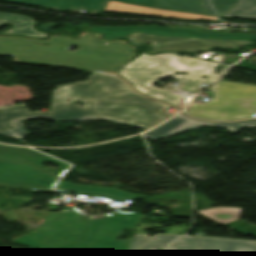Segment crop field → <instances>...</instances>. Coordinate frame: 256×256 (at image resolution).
<instances>
[{"instance_id":"ac0d7876","label":"crop field","mask_w":256,"mask_h":256,"mask_svg":"<svg viewBox=\"0 0 256 256\" xmlns=\"http://www.w3.org/2000/svg\"><path fill=\"white\" fill-rule=\"evenodd\" d=\"M141 212H112L85 218L75 208L49 212L33 232L13 240L39 249L27 256H63L76 251L126 256L131 240H116L125 228H136Z\"/></svg>"},{"instance_id":"f4fd0767","label":"crop field","mask_w":256,"mask_h":256,"mask_svg":"<svg viewBox=\"0 0 256 256\" xmlns=\"http://www.w3.org/2000/svg\"><path fill=\"white\" fill-rule=\"evenodd\" d=\"M208 90L214 100L205 104L192 103L187 113L209 120H238L256 113V86L219 81Z\"/></svg>"},{"instance_id":"412701ff","label":"crop field","mask_w":256,"mask_h":256,"mask_svg":"<svg viewBox=\"0 0 256 256\" xmlns=\"http://www.w3.org/2000/svg\"><path fill=\"white\" fill-rule=\"evenodd\" d=\"M178 53L158 54L150 56L143 54L119 71V75L131 82L138 91L156 97L160 100L177 106L181 96L172 94L175 89L160 90L152 84L166 76L174 77L184 85L180 90L194 93L201 84H210L214 79L223 74L229 66L219 73H214L215 65H222L188 56H178ZM175 71H187V75H173ZM208 76L202 79L201 76ZM148 86L147 90L143 88Z\"/></svg>"},{"instance_id":"34b2d1b8","label":"crop field","mask_w":256,"mask_h":256,"mask_svg":"<svg viewBox=\"0 0 256 256\" xmlns=\"http://www.w3.org/2000/svg\"><path fill=\"white\" fill-rule=\"evenodd\" d=\"M73 45L80 49L68 51ZM0 55L13 56L17 63L116 73L133 56V47L86 33L76 40L52 36L48 42L0 36Z\"/></svg>"},{"instance_id":"22f410ed","label":"crop field","mask_w":256,"mask_h":256,"mask_svg":"<svg viewBox=\"0 0 256 256\" xmlns=\"http://www.w3.org/2000/svg\"><path fill=\"white\" fill-rule=\"evenodd\" d=\"M0 160L2 161H10V162H19V163H29L32 164L56 177H60L64 171L70 167L65 163H62L58 160L50 158L46 155L38 153L29 148H20V147H12L6 145H0ZM46 160H51L55 163L62 165L57 172L49 170L42 166V162Z\"/></svg>"},{"instance_id":"5a996713","label":"crop field","mask_w":256,"mask_h":256,"mask_svg":"<svg viewBox=\"0 0 256 256\" xmlns=\"http://www.w3.org/2000/svg\"><path fill=\"white\" fill-rule=\"evenodd\" d=\"M56 181L33 166L0 162V185L51 191Z\"/></svg>"},{"instance_id":"3316defc","label":"crop field","mask_w":256,"mask_h":256,"mask_svg":"<svg viewBox=\"0 0 256 256\" xmlns=\"http://www.w3.org/2000/svg\"><path fill=\"white\" fill-rule=\"evenodd\" d=\"M201 125L214 126L227 128L231 132H237L243 127H256V120L238 122V123H214L200 120H193L180 114L164 124L158 126L154 130L144 134V137L149 138L153 141L162 138L165 139L169 136L181 134L188 130L194 129Z\"/></svg>"},{"instance_id":"d1516ede","label":"crop field","mask_w":256,"mask_h":256,"mask_svg":"<svg viewBox=\"0 0 256 256\" xmlns=\"http://www.w3.org/2000/svg\"><path fill=\"white\" fill-rule=\"evenodd\" d=\"M65 10L103 11L108 0H4ZM159 8L151 0H115Z\"/></svg>"},{"instance_id":"92a150f3","label":"crop field","mask_w":256,"mask_h":256,"mask_svg":"<svg viewBox=\"0 0 256 256\" xmlns=\"http://www.w3.org/2000/svg\"><path fill=\"white\" fill-rule=\"evenodd\" d=\"M238 0H210L219 16H223Z\"/></svg>"},{"instance_id":"d9b57169","label":"crop field","mask_w":256,"mask_h":256,"mask_svg":"<svg viewBox=\"0 0 256 256\" xmlns=\"http://www.w3.org/2000/svg\"><path fill=\"white\" fill-rule=\"evenodd\" d=\"M57 191L64 190L89 195L105 196L115 200L133 199L138 197H144L136 194L124 193L115 188H104V187H91V186H79L66 182L59 181Z\"/></svg>"},{"instance_id":"5142ce71","label":"crop field","mask_w":256,"mask_h":256,"mask_svg":"<svg viewBox=\"0 0 256 256\" xmlns=\"http://www.w3.org/2000/svg\"><path fill=\"white\" fill-rule=\"evenodd\" d=\"M176 234H155L154 237H148L147 234L136 235L131 243L127 256H153V248L167 250L165 244L180 237ZM167 245V244H166Z\"/></svg>"},{"instance_id":"bc2a9ffb","label":"crop field","mask_w":256,"mask_h":256,"mask_svg":"<svg viewBox=\"0 0 256 256\" xmlns=\"http://www.w3.org/2000/svg\"><path fill=\"white\" fill-rule=\"evenodd\" d=\"M160 8L175 9L205 14L198 0H152Z\"/></svg>"},{"instance_id":"00972430","label":"crop field","mask_w":256,"mask_h":256,"mask_svg":"<svg viewBox=\"0 0 256 256\" xmlns=\"http://www.w3.org/2000/svg\"><path fill=\"white\" fill-rule=\"evenodd\" d=\"M69 256H92V255H86V254H81V253H74L72 255Z\"/></svg>"},{"instance_id":"d8731c3e","label":"crop field","mask_w":256,"mask_h":256,"mask_svg":"<svg viewBox=\"0 0 256 256\" xmlns=\"http://www.w3.org/2000/svg\"><path fill=\"white\" fill-rule=\"evenodd\" d=\"M130 43L133 45H141L143 43H157V48H152L150 52L168 51V50H183L189 52L205 51L212 46L234 49L245 44L252 43L251 41H228V40H203V39H180V38H165L147 34L134 32L127 36Z\"/></svg>"},{"instance_id":"4a817a6b","label":"crop field","mask_w":256,"mask_h":256,"mask_svg":"<svg viewBox=\"0 0 256 256\" xmlns=\"http://www.w3.org/2000/svg\"><path fill=\"white\" fill-rule=\"evenodd\" d=\"M221 224L238 218L241 209L236 207H217L209 210L196 211Z\"/></svg>"},{"instance_id":"8a807250","label":"crop field","mask_w":256,"mask_h":256,"mask_svg":"<svg viewBox=\"0 0 256 256\" xmlns=\"http://www.w3.org/2000/svg\"><path fill=\"white\" fill-rule=\"evenodd\" d=\"M67 99L69 102L65 101ZM77 100L85 105H75ZM166 107L137 94L115 74L95 72L84 83L67 84L54 90L50 114L44 118L55 121L102 119L148 130L172 116L164 113Z\"/></svg>"},{"instance_id":"dafd665d","label":"crop field","mask_w":256,"mask_h":256,"mask_svg":"<svg viewBox=\"0 0 256 256\" xmlns=\"http://www.w3.org/2000/svg\"><path fill=\"white\" fill-rule=\"evenodd\" d=\"M201 2L203 4L204 8L206 9V11L208 12V14L215 16V14H214L213 10L211 9V7H210L209 3L207 2V0H201Z\"/></svg>"},{"instance_id":"dd49c442","label":"crop field","mask_w":256,"mask_h":256,"mask_svg":"<svg viewBox=\"0 0 256 256\" xmlns=\"http://www.w3.org/2000/svg\"><path fill=\"white\" fill-rule=\"evenodd\" d=\"M169 249L174 256H256V242L183 237Z\"/></svg>"},{"instance_id":"28ad6ade","label":"crop field","mask_w":256,"mask_h":256,"mask_svg":"<svg viewBox=\"0 0 256 256\" xmlns=\"http://www.w3.org/2000/svg\"><path fill=\"white\" fill-rule=\"evenodd\" d=\"M49 111L29 112L25 104L0 107V134L19 138L29 132L25 131L20 120L44 117Z\"/></svg>"},{"instance_id":"cbeb9de0","label":"crop field","mask_w":256,"mask_h":256,"mask_svg":"<svg viewBox=\"0 0 256 256\" xmlns=\"http://www.w3.org/2000/svg\"><path fill=\"white\" fill-rule=\"evenodd\" d=\"M105 11L125 12V13L138 14V15L159 16V17H169V18L178 17V18H187V19H198V20H218L217 17H212V16H204V15L174 12V11H167V10L154 9V8H146V7H140V6H135V5L121 3V2H114V1H109Z\"/></svg>"},{"instance_id":"733c2abd","label":"crop field","mask_w":256,"mask_h":256,"mask_svg":"<svg viewBox=\"0 0 256 256\" xmlns=\"http://www.w3.org/2000/svg\"><path fill=\"white\" fill-rule=\"evenodd\" d=\"M0 23H10L14 26L5 34H22L31 37H45L46 33L36 31L33 28L34 20L17 14L1 13Z\"/></svg>"},{"instance_id":"214f88e0","label":"crop field","mask_w":256,"mask_h":256,"mask_svg":"<svg viewBox=\"0 0 256 256\" xmlns=\"http://www.w3.org/2000/svg\"><path fill=\"white\" fill-rule=\"evenodd\" d=\"M224 17L256 19V0H239Z\"/></svg>"},{"instance_id":"e52e79f7","label":"crop field","mask_w":256,"mask_h":256,"mask_svg":"<svg viewBox=\"0 0 256 256\" xmlns=\"http://www.w3.org/2000/svg\"><path fill=\"white\" fill-rule=\"evenodd\" d=\"M134 31L147 34L181 37V38H203V39H228V40H256V34H224V33H202L196 30L176 29L161 26H124V27H93L92 32H104L103 38L112 40L117 36H127Z\"/></svg>"}]
</instances>
